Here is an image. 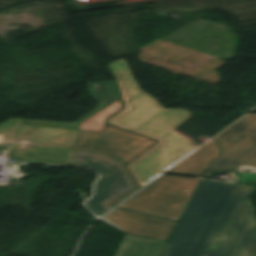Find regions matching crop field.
<instances>
[{
  "label": "crop field",
  "instance_id": "obj_9",
  "mask_svg": "<svg viewBox=\"0 0 256 256\" xmlns=\"http://www.w3.org/2000/svg\"><path fill=\"white\" fill-rule=\"evenodd\" d=\"M88 88H89V95L94 97L98 102V109L92 112L91 114L81 118L78 122H75V123H61V122H47V121H23V122H26L28 124H40V125L58 126V127H65V128H78L82 121L89 118L90 116L97 113L98 111L102 110L107 104L111 103L110 98L115 101L119 98L112 82L98 83L96 85L94 83H88ZM98 90L102 91V93L99 94ZM100 101H103V103H100Z\"/></svg>",
  "mask_w": 256,
  "mask_h": 256
},
{
  "label": "crop field",
  "instance_id": "obj_6",
  "mask_svg": "<svg viewBox=\"0 0 256 256\" xmlns=\"http://www.w3.org/2000/svg\"><path fill=\"white\" fill-rule=\"evenodd\" d=\"M222 155L208 170L256 173V115H247L218 137Z\"/></svg>",
  "mask_w": 256,
  "mask_h": 256
},
{
  "label": "crop field",
  "instance_id": "obj_8",
  "mask_svg": "<svg viewBox=\"0 0 256 256\" xmlns=\"http://www.w3.org/2000/svg\"><path fill=\"white\" fill-rule=\"evenodd\" d=\"M218 154L219 151L213 139L180 165L168 171V174L201 178L210 161Z\"/></svg>",
  "mask_w": 256,
  "mask_h": 256
},
{
  "label": "crop field",
  "instance_id": "obj_2",
  "mask_svg": "<svg viewBox=\"0 0 256 256\" xmlns=\"http://www.w3.org/2000/svg\"><path fill=\"white\" fill-rule=\"evenodd\" d=\"M110 67L116 73L127 108L109 123L160 141L128 166L144 186L182 159L179 155L192 146L186 136L173 130L191 114L189 111L164 109L141 92L124 59Z\"/></svg>",
  "mask_w": 256,
  "mask_h": 256
},
{
  "label": "crop field",
  "instance_id": "obj_11",
  "mask_svg": "<svg viewBox=\"0 0 256 256\" xmlns=\"http://www.w3.org/2000/svg\"><path fill=\"white\" fill-rule=\"evenodd\" d=\"M121 108H123V106L120 100L118 99L115 103L110 105L103 112L96 114L88 121L82 123L79 129L102 131L105 125V120Z\"/></svg>",
  "mask_w": 256,
  "mask_h": 256
},
{
  "label": "crop field",
  "instance_id": "obj_7",
  "mask_svg": "<svg viewBox=\"0 0 256 256\" xmlns=\"http://www.w3.org/2000/svg\"><path fill=\"white\" fill-rule=\"evenodd\" d=\"M100 221L122 231L167 240L175 222L116 208Z\"/></svg>",
  "mask_w": 256,
  "mask_h": 256
},
{
  "label": "crop field",
  "instance_id": "obj_3",
  "mask_svg": "<svg viewBox=\"0 0 256 256\" xmlns=\"http://www.w3.org/2000/svg\"><path fill=\"white\" fill-rule=\"evenodd\" d=\"M2 142L17 143L13 157L66 165L72 150L95 151L131 163L156 141L106 124L103 132L22 124L10 118L0 125ZM28 145V146H25Z\"/></svg>",
  "mask_w": 256,
  "mask_h": 256
},
{
  "label": "crop field",
  "instance_id": "obj_4",
  "mask_svg": "<svg viewBox=\"0 0 256 256\" xmlns=\"http://www.w3.org/2000/svg\"><path fill=\"white\" fill-rule=\"evenodd\" d=\"M68 162L81 164L103 175L95 185L94 196L85 202L96 215H103L140 188L127 166L118 160L93 152L73 151Z\"/></svg>",
  "mask_w": 256,
  "mask_h": 256
},
{
  "label": "crop field",
  "instance_id": "obj_5",
  "mask_svg": "<svg viewBox=\"0 0 256 256\" xmlns=\"http://www.w3.org/2000/svg\"><path fill=\"white\" fill-rule=\"evenodd\" d=\"M198 182L162 176L120 207L177 222Z\"/></svg>",
  "mask_w": 256,
  "mask_h": 256
},
{
  "label": "crop field",
  "instance_id": "obj_1",
  "mask_svg": "<svg viewBox=\"0 0 256 256\" xmlns=\"http://www.w3.org/2000/svg\"><path fill=\"white\" fill-rule=\"evenodd\" d=\"M253 192L251 186L202 180L161 256H256Z\"/></svg>",
  "mask_w": 256,
  "mask_h": 256
},
{
  "label": "crop field",
  "instance_id": "obj_10",
  "mask_svg": "<svg viewBox=\"0 0 256 256\" xmlns=\"http://www.w3.org/2000/svg\"><path fill=\"white\" fill-rule=\"evenodd\" d=\"M164 241L127 235L116 256H158Z\"/></svg>",
  "mask_w": 256,
  "mask_h": 256
}]
</instances>
